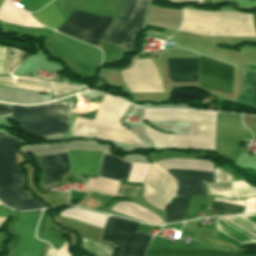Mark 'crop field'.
I'll use <instances>...</instances> for the list:
<instances>
[{"instance_id":"obj_1","label":"crop field","mask_w":256,"mask_h":256,"mask_svg":"<svg viewBox=\"0 0 256 256\" xmlns=\"http://www.w3.org/2000/svg\"><path fill=\"white\" fill-rule=\"evenodd\" d=\"M216 113L192 110H145L149 121L191 120L190 136L167 135L145 126L146 136L154 146L214 149Z\"/></svg>"},{"instance_id":"obj_2","label":"crop field","mask_w":256,"mask_h":256,"mask_svg":"<svg viewBox=\"0 0 256 256\" xmlns=\"http://www.w3.org/2000/svg\"><path fill=\"white\" fill-rule=\"evenodd\" d=\"M128 105L107 95L98 108L94 122L75 119L71 129L72 136L97 137L114 142L144 146L132 131L123 128L120 124L121 117Z\"/></svg>"},{"instance_id":"obj_3","label":"crop field","mask_w":256,"mask_h":256,"mask_svg":"<svg viewBox=\"0 0 256 256\" xmlns=\"http://www.w3.org/2000/svg\"><path fill=\"white\" fill-rule=\"evenodd\" d=\"M19 140L0 132V201L16 210L42 208L21 189L23 179L16 167L18 156L13 147Z\"/></svg>"},{"instance_id":"obj_4","label":"crop field","mask_w":256,"mask_h":256,"mask_svg":"<svg viewBox=\"0 0 256 256\" xmlns=\"http://www.w3.org/2000/svg\"><path fill=\"white\" fill-rule=\"evenodd\" d=\"M150 0H123L116 19L100 41L132 50L133 36L145 24L147 5Z\"/></svg>"},{"instance_id":"obj_5","label":"crop field","mask_w":256,"mask_h":256,"mask_svg":"<svg viewBox=\"0 0 256 256\" xmlns=\"http://www.w3.org/2000/svg\"><path fill=\"white\" fill-rule=\"evenodd\" d=\"M119 218L110 216L100 242L108 243ZM139 224L119 219L109 241L114 246L112 256H143L152 236L136 232Z\"/></svg>"},{"instance_id":"obj_6","label":"crop field","mask_w":256,"mask_h":256,"mask_svg":"<svg viewBox=\"0 0 256 256\" xmlns=\"http://www.w3.org/2000/svg\"><path fill=\"white\" fill-rule=\"evenodd\" d=\"M178 188L165 214L166 223L182 221L192 195H210L203 183L213 182V170L169 172Z\"/></svg>"},{"instance_id":"obj_7","label":"crop field","mask_w":256,"mask_h":256,"mask_svg":"<svg viewBox=\"0 0 256 256\" xmlns=\"http://www.w3.org/2000/svg\"><path fill=\"white\" fill-rule=\"evenodd\" d=\"M41 210L17 213L9 229L14 241L9 250L11 256H41L44 242L36 240L35 226Z\"/></svg>"},{"instance_id":"obj_8","label":"crop field","mask_w":256,"mask_h":256,"mask_svg":"<svg viewBox=\"0 0 256 256\" xmlns=\"http://www.w3.org/2000/svg\"><path fill=\"white\" fill-rule=\"evenodd\" d=\"M112 21V18L76 10L58 31L95 46Z\"/></svg>"},{"instance_id":"obj_9","label":"crop field","mask_w":256,"mask_h":256,"mask_svg":"<svg viewBox=\"0 0 256 256\" xmlns=\"http://www.w3.org/2000/svg\"><path fill=\"white\" fill-rule=\"evenodd\" d=\"M11 118L19 123L30 136H45L56 132L67 133L68 129L67 123L15 105L12 108Z\"/></svg>"},{"instance_id":"obj_10","label":"crop field","mask_w":256,"mask_h":256,"mask_svg":"<svg viewBox=\"0 0 256 256\" xmlns=\"http://www.w3.org/2000/svg\"><path fill=\"white\" fill-rule=\"evenodd\" d=\"M233 69L230 66L199 56V85L230 93Z\"/></svg>"},{"instance_id":"obj_11","label":"crop field","mask_w":256,"mask_h":256,"mask_svg":"<svg viewBox=\"0 0 256 256\" xmlns=\"http://www.w3.org/2000/svg\"><path fill=\"white\" fill-rule=\"evenodd\" d=\"M67 152L71 160V170L68 175H97L102 152L83 150H71Z\"/></svg>"},{"instance_id":"obj_12","label":"crop field","mask_w":256,"mask_h":256,"mask_svg":"<svg viewBox=\"0 0 256 256\" xmlns=\"http://www.w3.org/2000/svg\"><path fill=\"white\" fill-rule=\"evenodd\" d=\"M198 58L168 59L170 79L173 82L198 81Z\"/></svg>"},{"instance_id":"obj_13","label":"crop field","mask_w":256,"mask_h":256,"mask_svg":"<svg viewBox=\"0 0 256 256\" xmlns=\"http://www.w3.org/2000/svg\"><path fill=\"white\" fill-rule=\"evenodd\" d=\"M45 172V183H53L69 172L67 153L52 156H40Z\"/></svg>"},{"instance_id":"obj_14","label":"crop field","mask_w":256,"mask_h":256,"mask_svg":"<svg viewBox=\"0 0 256 256\" xmlns=\"http://www.w3.org/2000/svg\"><path fill=\"white\" fill-rule=\"evenodd\" d=\"M145 256H249L232 252L209 250H178L148 247ZM256 256V255H255Z\"/></svg>"},{"instance_id":"obj_15","label":"crop field","mask_w":256,"mask_h":256,"mask_svg":"<svg viewBox=\"0 0 256 256\" xmlns=\"http://www.w3.org/2000/svg\"><path fill=\"white\" fill-rule=\"evenodd\" d=\"M131 165L104 154L99 175L127 181Z\"/></svg>"},{"instance_id":"obj_16","label":"crop field","mask_w":256,"mask_h":256,"mask_svg":"<svg viewBox=\"0 0 256 256\" xmlns=\"http://www.w3.org/2000/svg\"><path fill=\"white\" fill-rule=\"evenodd\" d=\"M72 105L73 104H68V103H53V104H47V105L27 107V108L38 111L40 113L46 114L48 116L54 117L56 119H59L68 123Z\"/></svg>"},{"instance_id":"obj_17","label":"crop field","mask_w":256,"mask_h":256,"mask_svg":"<svg viewBox=\"0 0 256 256\" xmlns=\"http://www.w3.org/2000/svg\"><path fill=\"white\" fill-rule=\"evenodd\" d=\"M33 18L53 29H55L65 20L60 11L57 9L54 1L46 8L37 12Z\"/></svg>"},{"instance_id":"obj_18","label":"crop field","mask_w":256,"mask_h":256,"mask_svg":"<svg viewBox=\"0 0 256 256\" xmlns=\"http://www.w3.org/2000/svg\"><path fill=\"white\" fill-rule=\"evenodd\" d=\"M243 86L239 97L235 101L254 106V94L256 92V73L242 70Z\"/></svg>"},{"instance_id":"obj_19","label":"crop field","mask_w":256,"mask_h":256,"mask_svg":"<svg viewBox=\"0 0 256 256\" xmlns=\"http://www.w3.org/2000/svg\"><path fill=\"white\" fill-rule=\"evenodd\" d=\"M47 221H48L47 210H44L40 220L39 227H38L37 237L39 239L48 241L52 245V247L56 249L62 243L63 232L45 230Z\"/></svg>"},{"instance_id":"obj_20","label":"crop field","mask_w":256,"mask_h":256,"mask_svg":"<svg viewBox=\"0 0 256 256\" xmlns=\"http://www.w3.org/2000/svg\"><path fill=\"white\" fill-rule=\"evenodd\" d=\"M13 214V211L5 208L4 206H0V217H7Z\"/></svg>"},{"instance_id":"obj_21","label":"crop field","mask_w":256,"mask_h":256,"mask_svg":"<svg viewBox=\"0 0 256 256\" xmlns=\"http://www.w3.org/2000/svg\"><path fill=\"white\" fill-rule=\"evenodd\" d=\"M11 111V107L0 105V115L9 114Z\"/></svg>"},{"instance_id":"obj_22","label":"crop field","mask_w":256,"mask_h":256,"mask_svg":"<svg viewBox=\"0 0 256 256\" xmlns=\"http://www.w3.org/2000/svg\"><path fill=\"white\" fill-rule=\"evenodd\" d=\"M253 17H254V21H255V25H256V16H255V15H253Z\"/></svg>"},{"instance_id":"obj_23","label":"crop field","mask_w":256,"mask_h":256,"mask_svg":"<svg viewBox=\"0 0 256 256\" xmlns=\"http://www.w3.org/2000/svg\"><path fill=\"white\" fill-rule=\"evenodd\" d=\"M255 106H256V95H255Z\"/></svg>"},{"instance_id":"obj_24","label":"crop field","mask_w":256,"mask_h":256,"mask_svg":"<svg viewBox=\"0 0 256 256\" xmlns=\"http://www.w3.org/2000/svg\"><path fill=\"white\" fill-rule=\"evenodd\" d=\"M3 0H0V4L2 3Z\"/></svg>"}]
</instances>
